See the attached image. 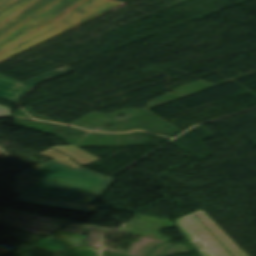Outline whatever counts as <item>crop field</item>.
<instances>
[{
  "instance_id": "crop-field-1",
  "label": "crop field",
  "mask_w": 256,
  "mask_h": 256,
  "mask_svg": "<svg viewBox=\"0 0 256 256\" xmlns=\"http://www.w3.org/2000/svg\"><path fill=\"white\" fill-rule=\"evenodd\" d=\"M125 3L0 0V62Z\"/></svg>"
},
{
  "instance_id": "crop-field-2",
  "label": "crop field",
  "mask_w": 256,
  "mask_h": 256,
  "mask_svg": "<svg viewBox=\"0 0 256 256\" xmlns=\"http://www.w3.org/2000/svg\"><path fill=\"white\" fill-rule=\"evenodd\" d=\"M111 180L84 167L73 169L52 160L18 175L13 193L89 205Z\"/></svg>"
},
{
  "instance_id": "crop-field-3",
  "label": "crop field",
  "mask_w": 256,
  "mask_h": 256,
  "mask_svg": "<svg viewBox=\"0 0 256 256\" xmlns=\"http://www.w3.org/2000/svg\"><path fill=\"white\" fill-rule=\"evenodd\" d=\"M175 221L202 256H246L203 210Z\"/></svg>"
},
{
  "instance_id": "crop-field-4",
  "label": "crop field",
  "mask_w": 256,
  "mask_h": 256,
  "mask_svg": "<svg viewBox=\"0 0 256 256\" xmlns=\"http://www.w3.org/2000/svg\"><path fill=\"white\" fill-rule=\"evenodd\" d=\"M71 71L74 70L66 66L53 72L28 80L24 83L0 75V98L16 102L35 85L69 73Z\"/></svg>"
},
{
  "instance_id": "crop-field-5",
  "label": "crop field",
  "mask_w": 256,
  "mask_h": 256,
  "mask_svg": "<svg viewBox=\"0 0 256 256\" xmlns=\"http://www.w3.org/2000/svg\"><path fill=\"white\" fill-rule=\"evenodd\" d=\"M34 245L55 253V256H95L97 249L80 246L52 238H44Z\"/></svg>"
},
{
  "instance_id": "crop-field-6",
  "label": "crop field",
  "mask_w": 256,
  "mask_h": 256,
  "mask_svg": "<svg viewBox=\"0 0 256 256\" xmlns=\"http://www.w3.org/2000/svg\"><path fill=\"white\" fill-rule=\"evenodd\" d=\"M13 201L59 207V208L72 209V210H79V211H85V212H90L92 210L100 208V207L85 206V205H79V204H73V203H67V202H61V201H55V200H49V199H43V198H37V197H31V196H25V195H21Z\"/></svg>"
},
{
  "instance_id": "crop-field-7",
  "label": "crop field",
  "mask_w": 256,
  "mask_h": 256,
  "mask_svg": "<svg viewBox=\"0 0 256 256\" xmlns=\"http://www.w3.org/2000/svg\"><path fill=\"white\" fill-rule=\"evenodd\" d=\"M53 149L60 151L68 156H71L73 160L83 166L99 159L79 148L73 146H54Z\"/></svg>"
},
{
  "instance_id": "crop-field-8",
  "label": "crop field",
  "mask_w": 256,
  "mask_h": 256,
  "mask_svg": "<svg viewBox=\"0 0 256 256\" xmlns=\"http://www.w3.org/2000/svg\"><path fill=\"white\" fill-rule=\"evenodd\" d=\"M42 152V151H41ZM41 154L45 155V156H48L52 159H55L59 162H62L68 166H71L73 168H79L80 166H78L77 164L73 163L71 158L57 152V151H54V150H47V151H44L42 152Z\"/></svg>"
},
{
  "instance_id": "crop-field-9",
  "label": "crop field",
  "mask_w": 256,
  "mask_h": 256,
  "mask_svg": "<svg viewBox=\"0 0 256 256\" xmlns=\"http://www.w3.org/2000/svg\"><path fill=\"white\" fill-rule=\"evenodd\" d=\"M49 237H53V238H57V239H61V240L81 244V245L83 244V242L86 238L84 236L70 234V233L61 232V231H58V232L50 235Z\"/></svg>"
},
{
  "instance_id": "crop-field-10",
  "label": "crop field",
  "mask_w": 256,
  "mask_h": 256,
  "mask_svg": "<svg viewBox=\"0 0 256 256\" xmlns=\"http://www.w3.org/2000/svg\"><path fill=\"white\" fill-rule=\"evenodd\" d=\"M12 115L10 108L0 105V117Z\"/></svg>"
},
{
  "instance_id": "crop-field-11",
  "label": "crop field",
  "mask_w": 256,
  "mask_h": 256,
  "mask_svg": "<svg viewBox=\"0 0 256 256\" xmlns=\"http://www.w3.org/2000/svg\"><path fill=\"white\" fill-rule=\"evenodd\" d=\"M99 252H100V250H99V251H97V252H95V253H97V254H98L97 256H99Z\"/></svg>"
}]
</instances>
